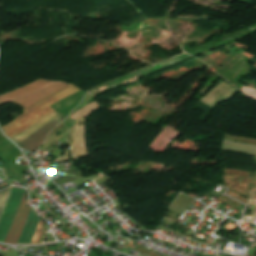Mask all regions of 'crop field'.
I'll return each mask as SVG.
<instances>
[{"label":"crop field","instance_id":"crop-field-8","mask_svg":"<svg viewBox=\"0 0 256 256\" xmlns=\"http://www.w3.org/2000/svg\"><path fill=\"white\" fill-rule=\"evenodd\" d=\"M222 150L256 155L255 145L232 142L225 139L223 140Z\"/></svg>","mask_w":256,"mask_h":256},{"label":"crop field","instance_id":"crop-field-2","mask_svg":"<svg viewBox=\"0 0 256 256\" xmlns=\"http://www.w3.org/2000/svg\"><path fill=\"white\" fill-rule=\"evenodd\" d=\"M24 190L13 188L0 217V242H4L10 223L19 207Z\"/></svg>","mask_w":256,"mask_h":256},{"label":"crop field","instance_id":"crop-field-7","mask_svg":"<svg viewBox=\"0 0 256 256\" xmlns=\"http://www.w3.org/2000/svg\"><path fill=\"white\" fill-rule=\"evenodd\" d=\"M38 220L39 218H37L33 213V211L31 210L23 226V229L17 244L30 242L32 235L34 233V230L36 228V225L38 223Z\"/></svg>","mask_w":256,"mask_h":256},{"label":"crop field","instance_id":"crop-field-10","mask_svg":"<svg viewBox=\"0 0 256 256\" xmlns=\"http://www.w3.org/2000/svg\"><path fill=\"white\" fill-rule=\"evenodd\" d=\"M10 189L11 188H8V189H5V190L0 192V215H1V212L3 210L4 204L6 202V199L8 197Z\"/></svg>","mask_w":256,"mask_h":256},{"label":"crop field","instance_id":"crop-field-1","mask_svg":"<svg viewBox=\"0 0 256 256\" xmlns=\"http://www.w3.org/2000/svg\"><path fill=\"white\" fill-rule=\"evenodd\" d=\"M78 91H80L78 88L69 84L45 97L43 100L23 109L24 113L22 115L1 128L5 134L12 139L32 124L54 111L48 107L49 105Z\"/></svg>","mask_w":256,"mask_h":256},{"label":"crop field","instance_id":"crop-field-11","mask_svg":"<svg viewBox=\"0 0 256 256\" xmlns=\"http://www.w3.org/2000/svg\"><path fill=\"white\" fill-rule=\"evenodd\" d=\"M44 225H45V223H44L42 220H40V221H39V224H38V226H37V228H36V231H35V233H34V235H33V238H32V240H31L30 243H36V242H37V240H38V238H39V235H40V233H41V231H42Z\"/></svg>","mask_w":256,"mask_h":256},{"label":"crop field","instance_id":"crop-field-9","mask_svg":"<svg viewBox=\"0 0 256 256\" xmlns=\"http://www.w3.org/2000/svg\"><path fill=\"white\" fill-rule=\"evenodd\" d=\"M58 115L59 114L54 111L51 115H49L48 117L44 118L40 122L36 123L32 127H30L28 130L24 131L23 133H21L20 135H18L17 137H15L12 140L15 141L17 144L20 143L22 140H24L25 138L29 137L37 129H39L40 127H42L45 124H47L49 121H51L53 118H55Z\"/></svg>","mask_w":256,"mask_h":256},{"label":"crop field","instance_id":"crop-field-5","mask_svg":"<svg viewBox=\"0 0 256 256\" xmlns=\"http://www.w3.org/2000/svg\"><path fill=\"white\" fill-rule=\"evenodd\" d=\"M64 85H66V84L53 82L38 91H35L27 96L18 98L12 102L25 108V107L31 105L32 103L44 98L46 95L52 93L53 91L61 88Z\"/></svg>","mask_w":256,"mask_h":256},{"label":"crop field","instance_id":"crop-field-6","mask_svg":"<svg viewBox=\"0 0 256 256\" xmlns=\"http://www.w3.org/2000/svg\"><path fill=\"white\" fill-rule=\"evenodd\" d=\"M50 82L51 81H46V80L40 79L36 82H33L31 84H28L26 86H23L21 88L11 91V92H8L6 94H3L0 96V105L5 104L9 101H12L18 97L29 94L34 90L40 89V88L48 85Z\"/></svg>","mask_w":256,"mask_h":256},{"label":"crop field","instance_id":"crop-field-3","mask_svg":"<svg viewBox=\"0 0 256 256\" xmlns=\"http://www.w3.org/2000/svg\"><path fill=\"white\" fill-rule=\"evenodd\" d=\"M25 198H26V193H24L18 212L10 226V230L5 240V243L15 244L19 237L22 226L30 210L29 208L25 207Z\"/></svg>","mask_w":256,"mask_h":256},{"label":"crop field","instance_id":"crop-field-4","mask_svg":"<svg viewBox=\"0 0 256 256\" xmlns=\"http://www.w3.org/2000/svg\"><path fill=\"white\" fill-rule=\"evenodd\" d=\"M65 117L58 116L54 120H52L50 123L45 125L44 127L37 130L34 134H32L29 138L22 141L20 144H18L20 147L32 152L37 146H39L43 140L45 139V136L47 132L54 127L57 123H59L62 119Z\"/></svg>","mask_w":256,"mask_h":256}]
</instances>
